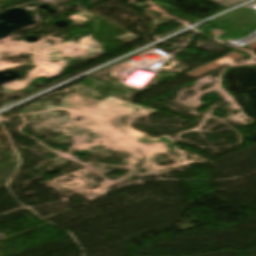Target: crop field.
<instances>
[{
    "mask_svg": "<svg viewBox=\"0 0 256 256\" xmlns=\"http://www.w3.org/2000/svg\"><path fill=\"white\" fill-rule=\"evenodd\" d=\"M214 2L220 4L221 6L227 8L237 2L243 1V0H213Z\"/></svg>",
    "mask_w": 256,
    "mask_h": 256,
    "instance_id": "obj_1",
    "label": "crop field"
}]
</instances>
